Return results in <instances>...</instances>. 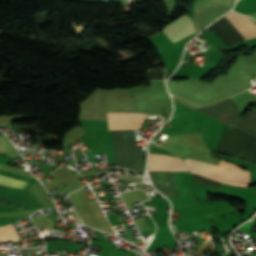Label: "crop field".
I'll return each mask as SVG.
<instances>
[{
  "instance_id": "f4fd0767",
  "label": "crop field",
  "mask_w": 256,
  "mask_h": 256,
  "mask_svg": "<svg viewBox=\"0 0 256 256\" xmlns=\"http://www.w3.org/2000/svg\"><path fill=\"white\" fill-rule=\"evenodd\" d=\"M162 31L173 43L189 34L195 33L190 17L185 14L168 24Z\"/></svg>"
},
{
  "instance_id": "ac0d7876",
  "label": "crop field",
  "mask_w": 256,
  "mask_h": 256,
  "mask_svg": "<svg viewBox=\"0 0 256 256\" xmlns=\"http://www.w3.org/2000/svg\"><path fill=\"white\" fill-rule=\"evenodd\" d=\"M145 116L138 111H108V129H139Z\"/></svg>"
},
{
  "instance_id": "3316defc",
  "label": "crop field",
  "mask_w": 256,
  "mask_h": 256,
  "mask_svg": "<svg viewBox=\"0 0 256 256\" xmlns=\"http://www.w3.org/2000/svg\"><path fill=\"white\" fill-rule=\"evenodd\" d=\"M200 1H204L207 3L219 5V6H224V7H228V8H230L231 5L233 4L232 0H200Z\"/></svg>"
},
{
  "instance_id": "d8731c3e",
  "label": "crop field",
  "mask_w": 256,
  "mask_h": 256,
  "mask_svg": "<svg viewBox=\"0 0 256 256\" xmlns=\"http://www.w3.org/2000/svg\"><path fill=\"white\" fill-rule=\"evenodd\" d=\"M0 184L12 187L23 188L27 183L0 174Z\"/></svg>"
},
{
  "instance_id": "dd49c442",
  "label": "crop field",
  "mask_w": 256,
  "mask_h": 256,
  "mask_svg": "<svg viewBox=\"0 0 256 256\" xmlns=\"http://www.w3.org/2000/svg\"><path fill=\"white\" fill-rule=\"evenodd\" d=\"M225 16L246 39L256 37V25L250 18L233 12H230Z\"/></svg>"
},
{
  "instance_id": "e52e79f7",
  "label": "crop field",
  "mask_w": 256,
  "mask_h": 256,
  "mask_svg": "<svg viewBox=\"0 0 256 256\" xmlns=\"http://www.w3.org/2000/svg\"><path fill=\"white\" fill-rule=\"evenodd\" d=\"M21 240L17 235L13 225L0 228V242L13 241L17 242Z\"/></svg>"
},
{
  "instance_id": "8a807250",
  "label": "crop field",
  "mask_w": 256,
  "mask_h": 256,
  "mask_svg": "<svg viewBox=\"0 0 256 256\" xmlns=\"http://www.w3.org/2000/svg\"><path fill=\"white\" fill-rule=\"evenodd\" d=\"M190 172L198 173L213 180L237 185L249 186V172L242 168L221 160L216 166L185 159Z\"/></svg>"
},
{
  "instance_id": "5a996713",
  "label": "crop field",
  "mask_w": 256,
  "mask_h": 256,
  "mask_svg": "<svg viewBox=\"0 0 256 256\" xmlns=\"http://www.w3.org/2000/svg\"><path fill=\"white\" fill-rule=\"evenodd\" d=\"M14 149L11 143L8 141L5 135L0 136V153L4 154Z\"/></svg>"
},
{
  "instance_id": "412701ff",
  "label": "crop field",
  "mask_w": 256,
  "mask_h": 256,
  "mask_svg": "<svg viewBox=\"0 0 256 256\" xmlns=\"http://www.w3.org/2000/svg\"><path fill=\"white\" fill-rule=\"evenodd\" d=\"M226 10L227 8L197 1L193 16L197 32H200L209 22Z\"/></svg>"
},
{
  "instance_id": "28ad6ade",
  "label": "crop field",
  "mask_w": 256,
  "mask_h": 256,
  "mask_svg": "<svg viewBox=\"0 0 256 256\" xmlns=\"http://www.w3.org/2000/svg\"><path fill=\"white\" fill-rule=\"evenodd\" d=\"M234 2L236 1V0H233Z\"/></svg>"
},
{
  "instance_id": "34b2d1b8",
  "label": "crop field",
  "mask_w": 256,
  "mask_h": 256,
  "mask_svg": "<svg viewBox=\"0 0 256 256\" xmlns=\"http://www.w3.org/2000/svg\"><path fill=\"white\" fill-rule=\"evenodd\" d=\"M177 158L149 153L148 171H188L184 161Z\"/></svg>"
}]
</instances>
